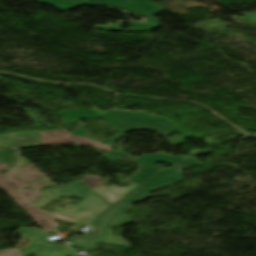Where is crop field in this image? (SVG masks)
I'll return each mask as SVG.
<instances>
[{
    "mask_svg": "<svg viewBox=\"0 0 256 256\" xmlns=\"http://www.w3.org/2000/svg\"><path fill=\"white\" fill-rule=\"evenodd\" d=\"M146 197H150V195L137 186L126 198H124L121 202L119 201L120 203H118L115 207L125 213L130 210L131 204L134 203V201H138Z\"/></svg>",
    "mask_w": 256,
    "mask_h": 256,
    "instance_id": "crop-field-6",
    "label": "crop field"
},
{
    "mask_svg": "<svg viewBox=\"0 0 256 256\" xmlns=\"http://www.w3.org/2000/svg\"><path fill=\"white\" fill-rule=\"evenodd\" d=\"M127 23L132 24V25H133V28H132V29H129V30H119V29H115V28H112V27L101 26V25H96L95 27L107 28V29L118 30V31H127V32L151 30V29H155V28H156L155 26L146 25V24H141V23H136V22H131V21H128Z\"/></svg>",
    "mask_w": 256,
    "mask_h": 256,
    "instance_id": "crop-field-10",
    "label": "crop field"
},
{
    "mask_svg": "<svg viewBox=\"0 0 256 256\" xmlns=\"http://www.w3.org/2000/svg\"><path fill=\"white\" fill-rule=\"evenodd\" d=\"M41 135V138H37ZM78 142L81 145L93 147L98 150L109 152L113 147L106 144L94 141L92 139L83 136H72L67 130L59 131H46V132H34V133H22L13 136L1 135L0 136V164L5 162L9 164V167H15L14 171H10L6 174L8 182L16 186L17 188H22L28 184L17 181L19 174V167H22L28 163L23 157H20V147H31V146H41V145H51V144H61V143H71Z\"/></svg>",
    "mask_w": 256,
    "mask_h": 256,
    "instance_id": "crop-field-1",
    "label": "crop field"
},
{
    "mask_svg": "<svg viewBox=\"0 0 256 256\" xmlns=\"http://www.w3.org/2000/svg\"><path fill=\"white\" fill-rule=\"evenodd\" d=\"M59 113L62 114L66 118L62 124L69 125L73 122H77V123L81 124L79 130L76 131V132H72V134H74V135H84L86 137H88V136L83 131L84 124L82 122L78 121L80 118H95V119L105 120L107 123H109L113 128H115L119 132V135H117V136H115L111 139H107V140H97V139H94V138H92V139L103 142V143H106V144L111 145V146H113L114 142L117 139H119L125 133L129 132L123 126H121L120 124L115 122L113 119L108 117L105 113H103L99 110H62ZM89 138H91V137H89Z\"/></svg>",
    "mask_w": 256,
    "mask_h": 256,
    "instance_id": "crop-field-3",
    "label": "crop field"
},
{
    "mask_svg": "<svg viewBox=\"0 0 256 256\" xmlns=\"http://www.w3.org/2000/svg\"><path fill=\"white\" fill-rule=\"evenodd\" d=\"M76 1L84 2V0H76Z\"/></svg>",
    "mask_w": 256,
    "mask_h": 256,
    "instance_id": "crop-field-14",
    "label": "crop field"
},
{
    "mask_svg": "<svg viewBox=\"0 0 256 256\" xmlns=\"http://www.w3.org/2000/svg\"><path fill=\"white\" fill-rule=\"evenodd\" d=\"M15 251L19 252L16 249L6 250V251L0 252V256H4V255L10 254V253L15 252ZM12 256H23V255H21L20 253H17V254L12 255Z\"/></svg>",
    "mask_w": 256,
    "mask_h": 256,
    "instance_id": "crop-field-13",
    "label": "crop field"
},
{
    "mask_svg": "<svg viewBox=\"0 0 256 256\" xmlns=\"http://www.w3.org/2000/svg\"><path fill=\"white\" fill-rule=\"evenodd\" d=\"M135 186H137V185L134 183H132L126 187H119L117 185H112V186H108V187H100L94 191L114 204L116 201H118L122 196H124L127 192H129ZM53 216L57 217L59 219L65 220V221H68L70 219V218L64 217V216L56 214V213H54Z\"/></svg>",
    "mask_w": 256,
    "mask_h": 256,
    "instance_id": "crop-field-5",
    "label": "crop field"
},
{
    "mask_svg": "<svg viewBox=\"0 0 256 256\" xmlns=\"http://www.w3.org/2000/svg\"><path fill=\"white\" fill-rule=\"evenodd\" d=\"M210 152H212V150L205 151L201 154L210 153ZM197 156L179 165L178 167L153 175L152 177H150L148 180H146L139 186H141L146 191L150 192L156 189H160V188L175 184L185 179V177L182 176V172L185 169H188L197 165H202L200 162L196 161Z\"/></svg>",
    "mask_w": 256,
    "mask_h": 256,
    "instance_id": "crop-field-4",
    "label": "crop field"
},
{
    "mask_svg": "<svg viewBox=\"0 0 256 256\" xmlns=\"http://www.w3.org/2000/svg\"><path fill=\"white\" fill-rule=\"evenodd\" d=\"M100 181H101V177L99 176H85V178L81 180V182H83L92 190L101 186Z\"/></svg>",
    "mask_w": 256,
    "mask_h": 256,
    "instance_id": "crop-field-11",
    "label": "crop field"
},
{
    "mask_svg": "<svg viewBox=\"0 0 256 256\" xmlns=\"http://www.w3.org/2000/svg\"><path fill=\"white\" fill-rule=\"evenodd\" d=\"M37 1H39L40 3L48 4V5L53 4L56 6L57 10H61V11L84 5V3L71 2L67 0H37Z\"/></svg>",
    "mask_w": 256,
    "mask_h": 256,
    "instance_id": "crop-field-8",
    "label": "crop field"
},
{
    "mask_svg": "<svg viewBox=\"0 0 256 256\" xmlns=\"http://www.w3.org/2000/svg\"><path fill=\"white\" fill-rule=\"evenodd\" d=\"M129 0H87V2L124 3Z\"/></svg>",
    "mask_w": 256,
    "mask_h": 256,
    "instance_id": "crop-field-12",
    "label": "crop field"
},
{
    "mask_svg": "<svg viewBox=\"0 0 256 256\" xmlns=\"http://www.w3.org/2000/svg\"><path fill=\"white\" fill-rule=\"evenodd\" d=\"M116 151H118V152H120V153H122V154H124L126 156H129V155L125 154L124 152H122L120 149H117ZM201 151H203V150H192L190 152L191 155L188 156V157H174V156L167 155V154L142 155V157L139 158V159H135V158H133L131 156H129V157H131V158H133V159H135L137 161H140V162H142V163H144V164H146L148 166H151V167L161 171L163 169L156 167L155 166L156 163H158V162H166V163H170V164L176 165V164H178V163H180V162H182V161H184V160L194 156L195 154H197V153H199ZM102 157L115 162V161H117V160H119V159H121V158H123L125 156H123V155H121V154L111 150L108 154H106V155H104ZM125 158L130 159L128 157H125ZM130 160H132V159H130ZM132 161H134V160H132ZM134 162H136V161H134ZM136 163L139 164V170L136 171V174L134 176L130 177V178L135 183H137V184H139L140 182L145 180L147 177H149L153 173L157 172L156 170H154V169H152L150 167H147V166H145V165H143V164H141L139 162H136Z\"/></svg>",
    "mask_w": 256,
    "mask_h": 256,
    "instance_id": "crop-field-2",
    "label": "crop field"
},
{
    "mask_svg": "<svg viewBox=\"0 0 256 256\" xmlns=\"http://www.w3.org/2000/svg\"><path fill=\"white\" fill-rule=\"evenodd\" d=\"M129 3L133 4L134 6L144 10L145 12H147V13L153 15V16L162 12V11H164L163 9H161L158 6L152 4L148 0H134V1L129 2Z\"/></svg>",
    "mask_w": 256,
    "mask_h": 256,
    "instance_id": "crop-field-9",
    "label": "crop field"
},
{
    "mask_svg": "<svg viewBox=\"0 0 256 256\" xmlns=\"http://www.w3.org/2000/svg\"><path fill=\"white\" fill-rule=\"evenodd\" d=\"M88 4H90V5H109V6L118 7V8L124 9V10L132 11V12H135L139 15H142L144 17L149 18V23H151V24L158 25V26L161 25L157 18L143 12L142 10H140V9H138V8L128 4V3H124V4L88 3Z\"/></svg>",
    "mask_w": 256,
    "mask_h": 256,
    "instance_id": "crop-field-7",
    "label": "crop field"
}]
</instances>
